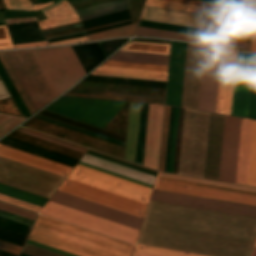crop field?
Returning a JSON list of instances; mask_svg holds the SVG:
<instances>
[{"instance_id": "18", "label": "crop field", "mask_w": 256, "mask_h": 256, "mask_svg": "<svg viewBox=\"0 0 256 256\" xmlns=\"http://www.w3.org/2000/svg\"><path fill=\"white\" fill-rule=\"evenodd\" d=\"M126 103L96 100L78 121L104 129Z\"/></svg>"}, {"instance_id": "13", "label": "crop field", "mask_w": 256, "mask_h": 256, "mask_svg": "<svg viewBox=\"0 0 256 256\" xmlns=\"http://www.w3.org/2000/svg\"><path fill=\"white\" fill-rule=\"evenodd\" d=\"M164 106L149 104L143 165L158 170Z\"/></svg>"}, {"instance_id": "22", "label": "crop field", "mask_w": 256, "mask_h": 256, "mask_svg": "<svg viewBox=\"0 0 256 256\" xmlns=\"http://www.w3.org/2000/svg\"><path fill=\"white\" fill-rule=\"evenodd\" d=\"M139 26L181 32V33L195 34V35H201V36H208V37H214V38H221V39H227V40L241 41V42H247V43H250V40H251V37H248V36L209 31V30L196 29V28H189V27L150 22V21H144V20L140 21Z\"/></svg>"}, {"instance_id": "48", "label": "crop field", "mask_w": 256, "mask_h": 256, "mask_svg": "<svg viewBox=\"0 0 256 256\" xmlns=\"http://www.w3.org/2000/svg\"><path fill=\"white\" fill-rule=\"evenodd\" d=\"M202 1L221 3V4L239 6V7L251 8V9H254V5H255V0H202Z\"/></svg>"}, {"instance_id": "35", "label": "crop field", "mask_w": 256, "mask_h": 256, "mask_svg": "<svg viewBox=\"0 0 256 256\" xmlns=\"http://www.w3.org/2000/svg\"><path fill=\"white\" fill-rule=\"evenodd\" d=\"M128 18H130V16L127 10V11L83 21L82 23L84 28L87 29V28H91V27H95V26H99L107 23H112V22H116V21H120Z\"/></svg>"}, {"instance_id": "65", "label": "crop field", "mask_w": 256, "mask_h": 256, "mask_svg": "<svg viewBox=\"0 0 256 256\" xmlns=\"http://www.w3.org/2000/svg\"><path fill=\"white\" fill-rule=\"evenodd\" d=\"M129 23H131V21H129V22H125V23H121V24H117V25H113V26H109V27H104V28H100V29L92 30V31H88V32H87V34L95 33V32H99V31H103V30H106V29H109V28H113V27H117V26H121V25L129 24Z\"/></svg>"}, {"instance_id": "44", "label": "crop field", "mask_w": 256, "mask_h": 256, "mask_svg": "<svg viewBox=\"0 0 256 256\" xmlns=\"http://www.w3.org/2000/svg\"><path fill=\"white\" fill-rule=\"evenodd\" d=\"M179 108H175L168 172L173 173Z\"/></svg>"}, {"instance_id": "61", "label": "crop field", "mask_w": 256, "mask_h": 256, "mask_svg": "<svg viewBox=\"0 0 256 256\" xmlns=\"http://www.w3.org/2000/svg\"><path fill=\"white\" fill-rule=\"evenodd\" d=\"M39 27L37 22L34 23H28V24H22V25H16V26H9L10 31L13 30H21V29H29V28H37Z\"/></svg>"}, {"instance_id": "70", "label": "crop field", "mask_w": 256, "mask_h": 256, "mask_svg": "<svg viewBox=\"0 0 256 256\" xmlns=\"http://www.w3.org/2000/svg\"><path fill=\"white\" fill-rule=\"evenodd\" d=\"M89 151H92V150H89ZM92 152H95V151H92ZM95 153H98V152H95ZM98 154H101V153H98ZM101 155H104V154H101ZM104 156H107V155H104ZM107 157H110V156H107ZM110 158H113V157H110ZM113 159H116V158H113ZM116 160H119V159H116ZM119 161H122V160H119ZM123 162H125V161H123ZM126 163H128V162H126ZM129 164H131V163H129ZM132 165H134V164H132ZM135 166H137V165H135ZM138 167H140V166H138ZM141 168H143V167H141ZM144 169H146V168H144ZM147 170H149V169H147ZM150 171H152V170H150ZM153 172H155V171H153Z\"/></svg>"}, {"instance_id": "53", "label": "crop field", "mask_w": 256, "mask_h": 256, "mask_svg": "<svg viewBox=\"0 0 256 256\" xmlns=\"http://www.w3.org/2000/svg\"><path fill=\"white\" fill-rule=\"evenodd\" d=\"M0 217L9 219V220H12V221H15V222H18V223H21V224H24V225H27L30 227L32 226V224L34 222L33 220H30V219H27V218H24V217L15 215V214H11V213H8V212L2 211V210H0Z\"/></svg>"}, {"instance_id": "29", "label": "crop field", "mask_w": 256, "mask_h": 256, "mask_svg": "<svg viewBox=\"0 0 256 256\" xmlns=\"http://www.w3.org/2000/svg\"><path fill=\"white\" fill-rule=\"evenodd\" d=\"M120 50L169 55L170 45L130 41Z\"/></svg>"}, {"instance_id": "72", "label": "crop field", "mask_w": 256, "mask_h": 256, "mask_svg": "<svg viewBox=\"0 0 256 256\" xmlns=\"http://www.w3.org/2000/svg\"><path fill=\"white\" fill-rule=\"evenodd\" d=\"M84 30L82 31H77V32H72V33H67V34H63V35H58V36H53V37H48L46 39H49V38H54V37H59V36H64V35H69V34H73V33H78V32H83Z\"/></svg>"}, {"instance_id": "38", "label": "crop field", "mask_w": 256, "mask_h": 256, "mask_svg": "<svg viewBox=\"0 0 256 256\" xmlns=\"http://www.w3.org/2000/svg\"><path fill=\"white\" fill-rule=\"evenodd\" d=\"M248 185L256 187V121H254V126H253Z\"/></svg>"}, {"instance_id": "51", "label": "crop field", "mask_w": 256, "mask_h": 256, "mask_svg": "<svg viewBox=\"0 0 256 256\" xmlns=\"http://www.w3.org/2000/svg\"><path fill=\"white\" fill-rule=\"evenodd\" d=\"M22 252L32 256H61V255H58L40 248H36L27 244L25 245Z\"/></svg>"}, {"instance_id": "62", "label": "crop field", "mask_w": 256, "mask_h": 256, "mask_svg": "<svg viewBox=\"0 0 256 256\" xmlns=\"http://www.w3.org/2000/svg\"><path fill=\"white\" fill-rule=\"evenodd\" d=\"M82 41H89V40L87 37H85V38H79V39H74V40L51 43L49 45L51 46V45H60V44H70V43H76V42H82Z\"/></svg>"}, {"instance_id": "49", "label": "crop field", "mask_w": 256, "mask_h": 256, "mask_svg": "<svg viewBox=\"0 0 256 256\" xmlns=\"http://www.w3.org/2000/svg\"><path fill=\"white\" fill-rule=\"evenodd\" d=\"M91 74L117 76V77H128V78H139V79H150V80H161V81H166V79H167V78H162V77L130 75V74H120V73L99 72V71H93Z\"/></svg>"}, {"instance_id": "24", "label": "crop field", "mask_w": 256, "mask_h": 256, "mask_svg": "<svg viewBox=\"0 0 256 256\" xmlns=\"http://www.w3.org/2000/svg\"><path fill=\"white\" fill-rule=\"evenodd\" d=\"M93 100L90 98L62 96L45 110L77 120Z\"/></svg>"}, {"instance_id": "4", "label": "crop field", "mask_w": 256, "mask_h": 256, "mask_svg": "<svg viewBox=\"0 0 256 256\" xmlns=\"http://www.w3.org/2000/svg\"><path fill=\"white\" fill-rule=\"evenodd\" d=\"M144 20L251 36L252 22L182 11L144 7Z\"/></svg>"}, {"instance_id": "17", "label": "crop field", "mask_w": 256, "mask_h": 256, "mask_svg": "<svg viewBox=\"0 0 256 256\" xmlns=\"http://www.w3.org/2000/svg\"><path fill=\"white\" fill-rule=\"evenodd\" d=\"M0 156L66 177L72 167L0 144Z\"/></svg>"}, {"instance_id": "59", "label": "crop field", "mask_w": 256, "mask_h": 256, "mask_svg": "<svg viewBox=\"0 0 256 256\" xmlns=\"http://www.w3.org/2000/svg\"><path fill=\"white\" fill-rule=\"evenodd\" d=\"M27 244H30V245H33V246H36V247H40V248H43V249H46V250H49V251H52V252H55V253H58V254H61V255H65V256H75V255H72V254H69V253H66V252H63V251L45 246V245H41V244L29 241V240L27 241Z\"/></svg>"}, {"instance_id": "37", "label": "crop field", "mask_w": 256, "mask_h": 256, "mask_svg": "<svg viewBox=\"0 0 256 256\" xmlns=\"http://www.w3.org/2000/svg\"><path fill=\"white\" fill-rule=\"evenodd\" d=\"M96 70L167 77V72L100 66Z\"/></svg>"}, {"instance_id": "3", "label": "crop field", "mask_w": 256, "mask_h": 256, "mask_svg": "<svg viewBox=\"0 0 256 256\" xmlns=\"http://www.w3.org/2000/svg\"><path fill=\"white\" fill-rule=\"evenodd\" d=\"M28 239L79 256H131L134 248L41 215Z\"/></svg>"}, {"instance_id": "1", "label": "crop field", "mask_w": 256, "mask_h": 256, "mask_svg": "<svg viewBox=\"0 0 256 256\" xmlns=\"http://www.w3.org/2000/svg\"><path fill=\"white\" fill-rule=\"evenodd\" d=\"M57 96L86 74L71 47L33 50ZM32 50L4 52L36 111L56 96Z\"/></svg>"}, {"instance_id": "60", "label": "crop field", "mask_w": 256, "mask_h": 256, "mask_svg": "<svg viewBox=\"0 0 256 256\" xmlns=\"http://www.w3.org/2000/svg\"><path fill=\"white\" fill-rule=\"evenodd\" d=\"M16 131H19V132H22V133H25V134H28V135H31V136H34V137H37V138H40V139H43V140H46V141H50V142H53V143H56V144H59V145H62V146H65V147H68V148H71V149H74V150L85 153V150H82V149H79V148H76V147H72V146H69V145L54 141V140H50V139H47V138H44V137H41V136H38V135H35V134H32V133H28V132H25V131H22V130H19V129H17Z\"/></svg>"}, {"instance_id": "2", "label": "crop field", "mask_w": 256, "mask_h": 256, "mask_svg": "<svg viewBox=\"0 0 256 256\" xmlns=\"http://www.w3.org/2000/svg\"><path fill=\"white\" fill-rule=\"evenodd\" d=\"M69 179L147 204L151 188L77 165ZM66 179L59 191L144 217L145 204Z\"/></svg>"}, {"instance_id": "33", "label": "crop field", "mask_w": 256, "mask_h": 256, "mask_svg": "<svg viewBox=\"0 0 256 256\" xmlns=\"http://www.w3.org/2000/svg\"><path fill=\"white\" fill-rule=\"evenodd\" d=\"M0 61H1L2 65H3L4 69L7 70L9 76L11 77L14 85L16 86L18 92L20 93L22 99L24 100V102H25L27 108L29 109L31 115L34 114L36 112L34 107L31 104L29 98L27 97V95H26L24 89L22 88L20 82L18 81L16 75L14 74L12 68L10 67V65H9L7 59L5 58L3 52H0Z\"/></svg>"}, {"instance_id": "26", "label": "crop field", "mask_w": 256, "mask_h": 256, "mask_svg": "<svg viewBox=\"0 0 256 256\" xmlns=\"http://www.w3.org/2000/svg\"><path fill=\"white\" fill-rule=\"evenodd\" d=\"M0 143L23 150V151H26V152H29V153H32V154H35V155H38V156H41V157H44V158H48V159L72 166V167H74L76 165V163L78 162V160H75V159H72V158H69V157H66V156L45 150V149H41V148L26 144V143H23V142H20V141H17V140L8 138V137L1 140Z\"/></svg>"}, {"instance_id": "5", "label": "crop field", "mask_w": 256, "mask_h": 256, "mask_svg": "<svg viewBox=\"0 0 256 256\" xmlns=\"http://www.w3.org/2000/svg\"><path fill=\"white\" fill-rule=\"evenodd\" d=\"M156 190L256 206V193L231 188L157 177Z\"/></svg>"}, {"instance_id": "54", "label": "crop field", "mask_w": 256, "mask_h": 256, "mask_svg": "<svg viewBox=\"0 0 256 256\" xmlns=\"http://www.w3.org/2000/svg\"><path fill=\"white\" fill-rule=\"evenodd\" d=\"M0 200L11 203V204H15V205H18V206H21V207H24V208H27V209H30V210H33L36 212H39L41 209V207L29 204V203H25V202H22V201H19V200H16V199H13V198L1 195V194H0Z\"/></svg>"}, {"instance_id": "12", "label": "crop field", "mask_w": 256, "mask_h": 256, "mask_svg": "<svg viewBox=\"0 0 256 256\" xmlns=\"http://www.w3.org/2000/svg\"><path fill=\"white\" fill-rule=\"evenodd\" d=\"M122 6H126L125 1L104 3L92 8L78 11L77 13L81 18ZM42 12L48 18L43 22H39L42 29L81 21L74 7L63 0Z\"/></svg>"}, {"instance_id": "75", "label": "crop field", "mask_w": 256, "mask_h": 256, "mask_svg": "<svg viewBox=\"0 0 256 256\" xmlns=\"http://www.w3.org/2000/svg\"><path fill=\"white\" fill-rule=\"evenodd\" d=\"M21 256H29V255H26V254H23V253H22Z\"/></svg>"}, {"instance_id": "69", "label": "crop field", "mask_w": 256, "mask_h": 256, "mask_svg": "<svg viewBox=\"0 0 256 256\" xmlns=\"http://www.w3.org/2000/svg\"><path fill=\"white\" fill-rule=\"evenodd\" d=\"M129 20H131V19L124 20V21H120V22H116V23H112V24H108V25H113V24H117V23H121V22L129 21ZM108 25H103V26H99V27H95V28L87 29V30H85V31L92 30V29H96V28H100V27H104V26H108Z\"/></svg>"}, {"instance_id": "6", "label": "crop field", "mask_w": 256, "mask_h": 256, "mask_svg": "<svg viewBox=\"0 0 256 256\" xmlns=\"http://www.w3.org/2000/svg\"><path fill=\"white\" fill-rule=\"evenodd\" d=\"M40 213L132 244L139 232L50 202Z\"/></svg>"}, {"instance_id": "31", "label": "crop field", "mask_w": 256, "mask_h": 256, "mask_svg": "<svg viewBox=\"0 0 256 256\" xmlns=\"http://www.w3.org/2000/svg\"><path fill=\"white\" fill-rule=\"evenodd\" d=\"M137 24L138 23L129 24V25L109 29V30H106L103 32L90 34L88 36H89L90 40L128 36V35L135 33Z\"/></svg>"}, {"instance_id": "36", "label": "crop field", "mask_w": 256, "mask_h": 256, "mask_svg": "<svg viewBox=\"0 0 256 256\" xmlns=\"http://www.w3.org/2000/svg\"><path fill=\"white\" fill-rule=\"evenodd\" d=\"M147 109H148V104H142L139 139H138V149H137V159H136V163L141 164V165H142V160H143Z\"/></svg>"}, {"instance_id": "25", "label": "crop field", "mask_w": 256, "mask_h": 256, "mask_svg": "<svg viewBox=\"0 0 256 256\" xmlns=\"http://www.w3.org/2000/svg\"><path fill=\"white\" fill-rule=\"evenodd\" d=\"M141 104L130 103L125 159L135 163Z\"/></svg>"}, {"instance_id": "50", "label": "crop field", "mask_w": 256, "mask_h": 256, "mask_svg": "<svg viewBox=\"0 0 256 256\" xmlns=\"http://www.w3.org/2000/svg\"><path fill=\"white\" fill-rule=\"evenodd\" d=\"M0 209L15 213V214H18V215H21V216H24V217H27V218H30L33 220L35 219V217L37 215L35 213L29 212V211H26V210H23V209L14 207V206H10V205H7V204L1 203V202H0Z\"/></svg>"}, {"instance_id": "43", "label": "crop field", "mask_w": 256, "mask_h": 256, "mask_svg": "<svg viewBox=\"0 0 256 256\" xmlns=\"http://www.w3.org/2000/svg\"><path fill=\"white\" fill-rule=\"evenodd\" d=\"M26 238V236L0 228V240L22 247Z\"/></svg>"}, {"instance_id": "41", "label": "crop field", "mask_w": 256, "mask_h": 256, "mask_svg": "<svg viewBox=\"0 0 256 256\" xmlns=\"http://www.w3.org/2000/svg\"><path fill=\"white\" fill-rule=\"evenodd\" d=\"M102 65L128 67V68H140V69H151V70H162V71H167V68H168V66H162V65H150V64L114 62V61H106Z\"/></svg>"}, {"instance_id": "68", "label": "crop field", "mask_w": 256, "mask_h": 256, "mask_svg": "<svg viewBox=\"0 0 256 256\" xmlns=\"http://www.w3.org/2000/svg\"><path fill=\"white\" fill-rule=\"evenodd\" d=\"M85 36H86V34L77 35V36H72V37H67V38H62V39H57V40L48 41V43L57 42V41H62V40H68V39H74V38H79V37H85Z\"/></svg>"}, {"instance_id": "34", "label": "crop field", "mask_w": 256, "mask_h": 256, "mask_svg": "<svg viewBox=\"0 0 256 256\" xmlns=\"http://www.w3.org/2000/svg\"><path fill=\"white\" fill-rule=\"evenodd\" d=\"M7 10H22V11H36L48 7L59 0H52L53 2L46 4L32 5L28 0H4Z\"/></svg>"}, {"instance_id": "30", "label": "crop field", "mask_w": 256, "mask_h": 256, "mask_svg": "<svg viewBox=\"0 0 256 256\" xmlns=\"http://www.w3.org/2000/svg\"><path fill=\"white\" fill-rule=\"evenodd\" d=\"M0 193L43 207L48 199L0 184Z\"/></svg>"}, {"instance_id": "21", "label": "crop field", "mask_w": 256, "mask_h": 256, "mask_svg": "<svg viewBox=\"0 0 256 256\" xmlns=\"http://www.w3.org/2000/svg\"><path fill=\"white\" fill-rule=\"evenodd\" d=\"M145 5L183 10V11H189V12H196V13H202V14H209V15H215V16L236 18V19L249 20V21H252V18H253V15H250V14L225 11V10L201 7V6H194V5L182 4V3H176V2H169V1H163V0H147Z\"/></svg>"}, {"instance_id": "55", "label": "crop field", "mask_w": 256, "mask_h": 256, "mask_svg": "<svg viewBox=\"0 0 256 256\" xmlns=\"http://www.w3.org/2000/svg\"><path fill=\"white\" fill-rule=\"evenodd\" d=\"M250 118L256 119V60H255V71H254V81H253V92H252V103H251Z\"/></svg>"}, {"instance_id": "28", "label": "crop field", "mask_w": 256, "mask_h": 256, "mask_svg": "<svg viewBox=\"0 0 256 256\" xmlns=\"http://www.w3.org/2000/svg\"><path fill=\"white\" fill-rule=\"evenodd\" d=\"M109 60L168 65L169 56L118 51Z\"/></svg>"}, {"instance_id": "63", "label": "crop field", "mask_w": 256, "mask_h": 256, "mask_svg": "<svg viewBox=\"0 0 256 256\" xmlns=\"http://www.w3.org/2000/svg\"><path fill=\"white\" fill-rule=\"evenodd\" d=\"M126 9H128V8H127V7H125V8L115 9V10L107 11V12L100 13V14H97V15H94V16H90V17L82 18L81 20L83 21V20H87V19H91V18H95V17L103 16V15H106V14H110V13H114V12H118V11H122V10H126Z\"/></svg>"}, {"instance_id": "47", "label": "crop field", "mask_w": 256, "mask_h": 256, "mask_svg": "<svg viewBox=\"0 0 256 256\" xmlns=\"http://www.w3.org/2000/svg\"><path fill=\"white\" fill-rule=\"evenodd\" d=\"M14 48L7 25L0 26V50Z\"/></svg>"}, {"instance_id": "67", "label": "crop field", "mask_w": 256, "mask_h": 256, "mask_svg": "<svg viewBox=\"0 0 256 256\" xmlns=\"http://www.w3.org/2000/svg\"><path fill=\"white\" fill-rule=\"evenodd\" d=\"M36 46H48L46 42L42 43H34V44H26V45H18L14 46L15 48H22V47H36Z\"/></svg>"}, {"instance_id": "74", "label": "crop field", "mask_w": 256, "mask_h": 256, "mask_svg": "<svg viewBox=\"0 0 256 256\" xmlns=\"http://www.w3.org/2000/svg\"><path fill=\"white\" fill-rule=\"evenodd\" d=\"M254 249H256V242H255V247H254ZM252 254H256V250H254ZM252 256H256V255H252Z\"/></svg>"}, {"instance_id": "73", "label": "crop field", "mask_w": 256, "mask_h": 256, "mask_svg": "<svg viewBox=\"0 0 256 256\" xmlns=\"http://www.w3.org/2000/svg\"><path fill=\"white\" fill-rule=\"evenodd\" d=\"M0 256H14V255L0 251Z\"/></svg>"}, {"instance_id": "19", "label": "crop field", "mask_w": 256, "mask_h": 256, "mask_svg": "<svg viewBox=\"0 0 256 256\" xmlns=\"http://www.w3.org/2000/svg\"><path fill=\"white\" fill-rule=\"evenodd\" d=\"M135 35L156 36V37L179 39V40H185V41H191V42L217 45V46H221V47H225V48H229V49L244 50V51H248L249 45H250L247 43L227 41V40L214 39V38L201 37V36H194V35L168 32V31L155 30V29H148V28H142V27L138 28Z\"/></svg>"}, {"instance_id": "7", "label": "crop field", "mask_w": 256, "mask_h": 256, "mask_svg": "<svg viewBox=\"0 0 256 256\" xmlns=\"http://www.w3.org/2000/svg\"><path fill=\"white\" fill-rule=\"evenodd\" d=\"M255 55L237 52L231 115L249 118Z\"/></svg>"}, {"instance_id": "56", "label": "crop field", "mask_w": 256, "mask_h": 256, "mask_svg": "<svg viewBox=\"0 0 256 256\" xmlns=\"http://www.w3.org/2000/svg\"><path fill=\"white\" fill-rule=\"evenodd\" d=\"M79 165H82V166H85V167H88V168H92V169H95V170H98V171H101V172H104V173H107V174H110V175H113V176H117V177L129 180V181H132V182H135V183H138V184H142V185L151 187V188L153 187L152 185H149V184L137 181V180H133V179H130V178H127V177H124V176H121V175H118V174H115V173H112V172H109V171H106V170H103V169H100V168H96V167H93V166H90V165H87V164H84V163H81V162H79Z\"/></svg>"}, {"instance_id": "46", "label": "crop field", "mask_w": 256, "mask_h": 256, "mask_svg": "<svg viewBox=\"0 0 256 256\" xmlns=\"http://www.w3.org/2000/svg\"><path fill=\"white\" fill-rule=\"evenodd\" d=\"M172 1L185 2V3H191V4H198V5H204V6H211V7H217V8H224V9L243 11V12H249V13H253L254 12V10H251V9H245V8L221 5V4H214V3L202 2V1H196V0H172Z\"/></svg>"}, {"instance_id": "27", "label": "crop field", "mask_w": 256, "mask_h": 256, "mask_svg": "<svg viewBox=\"0 0 256 256\" xmlns=\"http://www.w3.org/2000/svg\"><path fill=\"white\" fill-rule=\"evenodd\" d=\"M72 49L86 74L106 58L98 43L74 46Z\"/></svg>"}, {"instance_id": "52", "label": "crop field", "mask_w": 256, "mask_h": 256, "mask_svg": "<svg viewBox=\"0 0 256 256\" xmlns=\"http://www.w3.org/2000/svg\"><path fill=\"white\" fill-rule=\"evenodd\" d=\"M0 111L21 116L11 98L0 100Z\"/></svg>"}, {"instance_id": "58", "label": "crop field", "mask_w": 256, "mask_h": 256, "mask_svg": "<svg viewBox=\"0 0 256 256\" xmlns=\"http://www.w3.org/2000/svg\"><path fill=\"white\" fill-rule=\"evenodd\" d=\"M87 154H90V155H93V156H96V157H99V158H102V159H106V160H109V161H112V162H115V163H118V164L130 167V168H133V169H136V170H140V171H143V172L155 175V176L157 175L156 173H153V172H150V171H147V170H144V169H141V168H138V167L126 164V163H122V162H119V161H116V160H113V159H110V158H107V157H104V156H101V155H98V154H95V153H92V152H89V151H87Z\"/></svg>"}, {"instance_id": "9", "label": "crop field", "mask_w": 256, "mask_h": 256, "mask_svg": "<svg viewBox=\"0 0 256 256\" xmlns=\"http://www.w3.org/2000/svg\"><path fill=\"white\" fill-rule=\"evenodd\" d=\"M221 54L220 49L205 47L198 110L215 113Z\"/></svg>"}, {"instance_id": "20", "label": "crop field", "mask_w": 256, "mask_h": 256, "mask_svg": "<svg viewBox=\"0 0 256 256\" xmlns=\"http://www.w3.org/2000/svg\"><path fill=\"white\" fill-rule=\"evenodd\" d=\"M253 121L242 119L236 183L247 185Z\"/></svg>"}, {"instance_id": "39", "label": "crop field", "mask_w": 256, "mask_h": 256, "mask_svg": "<svg viewBox=\"0 0 256 256\" xmlns=\"http://www.w3.org/2000/svg\"><path fill=\"white\" fill-rule=\"evenodd\" d=\"M134 251L155 254V255H162V256H202V255L164 250V249H158V248H152V247H146V246H140V245H137Z\"/></svg>"}, {"instance_id": "64", "label": "crop field", "mask_w": 256, "mask_h": 256, "mask_svg": "<svg viewBox=\"0 0 256 256\" xmlns=\"http://www.w3.org/2000/svg\"><path fill=\"white\" fill-rule=\"evenodd\" d=\"M251 52H256V11H255V20H254V29H253V39H252Z\"/></svg>"}, {"instance_id": "32", "label": "crop field", "mask_w": 256, "mask_h": 256, "mask_svg": "<svg viewBox=\"0 0 256 256\" xmlns=\"http://www.w3.org/2000/svg\"><path fill=\"white\" fill-rule=\"evenodd\" d=\"M0 77L3 80L5 86L7 87L9 93L11 94L13 100L15 101L17 107L19 108L21 114L27 117L31 116L23 100L21 99L19 93L17 92L15 86L13 85L10 77L8 76L6 70L3 69L1 63H0Z\"/></svg>"}, {"instance_id": "10", "label": "crop field", "mask_w": 256, "mask_h": 256, "mask_svg": "<svg viewBox=\"0 0 256 256\" xmlns=\"http://www.w3.org/2000/svg\"><path fill=\"white\" fill-rule=\"evenodd\" d=\"M150 200L256 217V207L232 204L156 190L153 191Z\"/></svg>"}, {"instance_id": "42", "label": "crop field", "mask_w": 256, "mask_h": 256, "mask_svg": "<svg viewBox=\"0 0 256 256\" xmlns=\"http://www.w3.org/2000/svg\"><path fill=\"white\" fill-rule=\"evenodd\" d=\"M171 107L166 106L159 171H163Z\"/></svg>"}, {"instance_id": "66", "label": "crop field", "mask_w": 256, "mask_h": 256, "mask_svg": "<svg viewBox=\"0 0 256 256\" xmlns=\"http://www.w3.org/2000/svg\"><path fill=\"white\" fill-rule=\"evenodd\" d=\"M19 129H22V130H25V131H28V132H32V133H35V134H38V135H41V136H44V137H47V138H50V139H54V140H57V141H60V142H63V143H66V144H69V145L76 146V147H79V148L87 150L86 148H83V147H80V146H77V145H74V144H70V143H67V142H64V141H61V140H58V139H55V138H52V137L40 134V133H36V132L30 131V130L21 128V127H19Z\"/></svg>"}, {"instance_id": "71", "label": "crop field", "mask_w": 256, "mask_h": 256, "mask_svg": "<svg viewBox=\"0 0 256 256\" xmlns=\"http://www.w3.org/2000/svg\"><path fill=\"white\" fill-rule=\"evenodd\" d=\"M133 256H155V255H149V254H143V253L134 252Z\"/></svg>"}, {"instance_id": "11", "label": "crop field", "mask_w": 256, "mask_h": 256, "mask_svg": "<svg viewBox=\"0 0 256 256\" xmlns=\"http://www.w3.org/2000/svg\"><path fill=\"white\" fill-rule=\"evenodd\" d=\"M241 119L225 116L219 180L235 183Z\"/></svg>"}, {"instance_id": "40", "label": "crop field", "mask_w": 256, "mask_h": 256, "mask_svg": "<svg viewBox=\"0 0 256 256\" xmlns=\"http://www.w3.org/2000/svg\"><path fill=\"white\" fill-rule=\"evenodd\" d=\"M158 175L256 192V189H254V188H248V187L225 184V183L214 182V181H208V180H203V179L185 177V176H180V175H174V174H168V173H162V172H159Z\"/></svg>"}, {"instance_id": "45", "label": "crop field", "mask_w": 256, "mask_h": 256, "mask_svg": "<svg viewBox=\"0 0 256 256\" xmlns=\"http://www.w3.org/2000/svg\"><path fill=\"white\" fill-rule=\"evenodd\" d=\"M0 227L23 234V235H28L30 231V227L0 218Z\"/></svg>"}, {"instance_id": "15", "label": "crop field", "mask_w": 256, "mask_h": 256, "mask_svg": "<svg viewBox=\"0 0 256 256\" xmlns=\"http://www.w3.org/2000/svg\"><path fill=\"white\" fill-rule=\"evenodd\" d=\"M236 52L223 50L216 113L230 115Z\"/></svg>"}, {"instance_id": "14", "label": "crop field", "mask_w": 256, "mask_h": 256, "mask_svg": "<svg viewBox=\"0 0 256 256\" xmlns=\"http://www.w3.org/2000/svg\"><path fill=\"white\" fill-rule=\"evenodd\" d=\"M186 44L172 41L166 105L180 107Z\"/></svg>"}, {"instance_id": "16", "label": "crop field", "mask_w": 256, "mask_h": 256, "mask_svg": "<svg viewBox=\"0 0 256 256\" xmlns=\"http://www.w3.org/2000/svg\"><path fill=\"white\" fill-rule=\"evenodd\" d=\"M224 116L212 114L205 178L218 180Z\"/></svg>"}, {"instance_id": "57", "label": "crop field", "mask_w": 256, "mask_h": 256, "mask_svg": "<svg viewBox=\"0 0 256 256\" xmlns=\"http://www.w3.org/2000/svg\"><path fill=\"white\" fill-rule=\"evenodd\" d=\"M21 249H22L21 247L0 241V250L6 251L18 256Z\"/></svg>"}, {"instance_id": "8", "label": "crop field", "mask_w": 256, "mask_h": 256, "mask_svg": "<svg viewBox=\"0 0 256 256\" xmlns=\"http://www.w3.org/2000/svg\"><path fill=\"white\" fill-rule=\"evenodd\" d=\"M50 202L72 208L130 228L140 229L142 218L120 212L81 198L57 191Z\"/></svg>"}, {"instance_id": "23", "label": "crop field", "mask_w": 256, "mask_h": 256, "mask_svg": "<svg viewBox=\"0 0 256 256\" xmlns=\"http://www.w3.org/2000/svg\"><path fill=\"white\" fill-rule=\"evenodd\" d=\"M65 95L91 97V98H102V99L125 100V101H136V102H147V103H158V104H164V100H165V97H160V96L136 95V94L78 90V89H72Z\"/></svg>"}]
</instances>
